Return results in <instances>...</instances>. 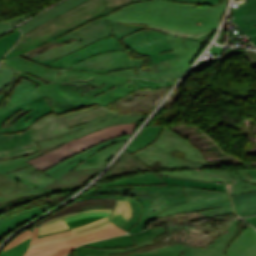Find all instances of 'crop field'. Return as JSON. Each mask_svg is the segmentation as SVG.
Returning <instances> with one entry per match:
<instances>
[{
	"label": "crop field",
	"mask_w": 256,
	"mask_h": 256,
	"mask_svg": "<svg viewBox=\"0 0 256 256\" xmlns=\"http://www.w3.org/2000/svg\"><path fill=\"white\" fill-rule=\"evenodd\" d=\"M111 224L108 223L102 227H99V228H96V229H93L91 231H88V232H83V233H78V234H74V235H70V236H66V237H63V238H59V239H55V240H51V241H47V242H43V243H39V244H35V245H31L29 248H32V247H38V246H42V245H47V244H51V243H55V242H59V241H63V240H67V239H71V238H74V237H77V236H81V235H84V234H87V233H90L92 231H95V230H98V229H101L107 225Z\"/></svg>",
	"instance_id": "42"
},
{
	"label": "crop field",
	"mask_w": 256,
	"mask_h": 256,
	"mask_svg": "<svg viewBox=\"0 0 256 256\" xmlns=\"http://www.w3.org/2000/svg\"><path fill=\"white\" fill-rule=\"evenodd\" d=\"M248 2L251 1V0H247Z\"/></svg>",
	"instance_id": "60"
},
{
	"label": "crop field",
	"mask_w": 256,
	"mask_h": 256,
	"mask_svg": "<svg viewBox=\"0 0 256 256\" xmlns=\"http://www.w3.org/2000/svg\"><path fill=\"white\" fill-rule=\"evenodd\" d=\"M108 222H110V221L107 219V220H105L103 222H100L98 224H95V225H92V226H89V227H86V228H83V229H79V230H75V231H69V232H65V233H61V234H57V235H53V236H49V237H44V238H40V239H37V233H38L39 227H35L34 231H33V234H32L31 244H35V243H39V242H43V241H47V240L63 237V236L74 234V233H78V232L88 231V230H91L93 228H96V227H99L101 225H104V224H106Z\"/></svg>",
	"instance_id": "35"
},
{
	"label": "crop field",
	"mask_w": 256,
	"mask_h": 256,
	"mask_svg": "<svg viewBox=\"0 0 256 256\" xmlns=\"http://www.w3.org/2000/svg\"><path fill=\"white\" fill-rule=\"evenodd\" d=\"M162 127L158 126H148L146 127L138 136L137 138L131 142L130 146L128 147V151L131 153L146 144L152 142L154 138L159 134Z\"/></svg>",
	"instance_id": "29"
},
{
	"label": "crop field",
	"mask_w": 256,
	"mask_h": 256,
	"mask_svg": "<svg viewBox=\"0 0 256 256\" xmlns=\"http://www.w3.org/2000/svg\"><path fill=\"white\" fill-rule=\"evenodd\" d=\"M184 188L189 203L170 207L155 218L191 211H197L210 217L235 214L227 193Z\"/></svg>",
	"instance_id": "11"
},
{
	"label": "crop field",
	"mask_w": 256,
	"mask_h": 256,
	"mask_svg": "<svg viewBox=\"0 0 256 256\" xmlns=\"http://www.w3.org/2000/svg\"><path fill=\"white\" fill-rule=\"evenodd\" d=\"M229 221H208L189 225L187 245L206 248L216 240L231 224Z\"/></svg>",
	"instance_id": "14"
},
{
	"label": "crop field",
	"mask_w": 256,
	"mask_h": 256,
	"mask_svg": "<svg viewBox=\"0 0 256 256\" xmlns=\"http://www.w3.org/2000/svg\"><path fill=\"white\" fill-rule=\"evenodd\" d=\"M101 215H109V213H87V214H82V215L74 216L71 218H67L64 220H65V222H68V221L80 219V218L87 217V216H101Z\"/></svg>",
	"instance_id": "48"
},
{
	"label": "crop field",
	"mask_w": 256,
	"mask_h": 256,
	"mask_svg": "<svg viewBox=\"0 0 256 256\" xmlns=\"http://www.w3.org/2000/svg\"><path fill=\"white\" fill-rule=\"evenodd\" d=\"M115 204H116V200H113V199H87V200L71 203L70 205L64 207L58 212L52 214L51 216L47 218L45 217L46 219L35 224V226H40V224L46 220H50L58 216L66 215L68 213H72V212H76L84 209H91V208H113Z\"/></svg>",
	"instance_id": "20"
},
{
	"label": "crop field",
	"mask_w": 256,
	"mask_h": 256,
	"mask_svg": "<svg viewBox=\"0 0 256 256\" xmlns=\"http://www.w3.org/2000/svg\"><path fill=\"white\" fill-rule=\"evenodd\" d=\"M148 169L147 166L132 156L128 151H125L103 179Z\"/></svg>",
	"instance_id": "22"
},
{
	"label": "crop field",
	"mask_w": 256,
	"mask_h": 256,
	"mask_svg": "<svg viewBox=\"0 0 256 256\" xmlns=\"http://www.w3.org/2000/svg\"><path fill=\"white\" fill-rule=\"evenodd\" d=\"M35 13H37V12H35ZM35 13H31V14H28V15H25V16H21V17L15 18V19H11V20H8V21H2V22L18 23V22L28 18L29 16L35 14Z\"/></svg>",
	"instance_id": "51"
},
{
	"label": "crop field",
	"mask_w": 256,
	"mask_h": 256,
	"mask_svg": "<svg viewBox=\"0 0 256 256\" xmlns=\"http://www.w3.org/2000/svg\"><path fill=\"white\" fill-rule=\"evenodd\" d=\"M162 179H164L168 184H175V185H181V186H187V187H195V188L227 192L223 183L216 184V183H205V182H190V181L170 179V178H162Z\"/></svg>",
	"instance_id": "32"
},
{
	"label": "crop field",
	"mask_w": 256,
	"mask_h": 256,
	"mask_svg": "<svg viewBox=\"0 0 256 256\" xmlns=\"http://www.w3.org/2000/svg\"><path fill=\"white\" fill-rule=\"evenodd\" d=\"M181 226L188 229V225H175V226H160L146 230L142 233L131 235L136 246L128 248H117V249H96L91 247H76L78 256H113L111 254L127 253L136 250L145 245L155 243L153 240L160 234L165 232L170 233L171 231L178 230L177 227ZM184 245H173L163 248L153 249L149 251L139 252L137 254L121 255V256H182L185 251Z\"/></svg>",
	"instance_id": "10"
},
{
	"label": "crop field",
	"mask_w": 256,
	"mask_h": 256,
	"mask_svg": "<svg viewBox=\"0 0 256 256\" xmlns=\"http://www.w3.org/2000/svg\"><path fill=\"white\" fill-rule=\"evenodd\" d=\"M68 228L69 227L67 226V224L64 222V220H62V221L41 227L38 235L52 233V232H56V231H60Z\"/></svg>",
	"instance_id": "40"
},
{
	"label": "crop field",
	"mask_w": 256,
	"mask_h": 256,
	"mask_svg": "<svg viewBox=\"0 0 256 256\" xmlns=\"http://www.w3.org/2000/svg\"><path fill=\"white\" fill-rule=\"evenodd\" d=\"M83 1H85V0H66V1L60 3L59 5L53 7L52 9L44 12L43 14L37 16L33 20L19 26V29H21L22 32L25 33L28 30L44 23L46 20L54 17L55 15L65 11L75 5L82 3Z\"/></svg>",
	"instance_id": "26"
},
{
	"label": "crop field",
	"mask_w": 256,
	"mask_h": 256,
	"mask_svg": "<svg viewBox=\"0 0 256 256\" xmlns=\"http://www.w3.org/2000/svg\"><path fill=\"white\" fill-rule=\"evenodd\" d=\"M1 65L38 84V91L56 115L87 105L106 106L139 87L129 78L64 69H50L20 56L3 60Z\"/></svg>",
	"instance_id": "2"
},
{
	"label": "crop field",
	"mask_w": 256,
	"mask_h": 256,
	"mask_svg": "<svg viewBox=\"0 0 256 256\" xmlns=\"http://www.w3.org/2000/svg\"><path fill=\"white\" fill-rule=\"evenodd\" d=\"M4 96V94H0V99Z\"/></svg>",
	"instance_id": "59"
},
{
	"label": "crop field",
	"mask_w": 256,
	"mask_h": 256,
	"mask_svg": "<svg viewBox=\"0 0 256 256\" xmlns=\"http://www.w3.org/2000/svg\"><path fill=\"white\" fill-rule=\"evenodd\" d=\"M86 198H134L138 200L142 204V217L132 229L127 231L129 233H136L144 230L149 219L155 217L168 207L188 202L184 188L175 185H143L95 188L81 194L77 199H75V201Z\"/></svg>",
	"instance_id": "6"
},
{
	"label": "crop field",
	"mask_w": 256,
	"mask_h": 256,
	"mask_svg": "<svg viewBox=\"0 0 256 256\" xmlns=\"http://www.w3.org/2000/svg\"><path fill=\"white\" fill-rule=\"evenodd\" d=\"M125 141L118 142L107 148L99 150L72 170L103 168L106 162L114 155L119 147L125 143Z\"/></svg>",
	"instance_id": "24"
},
{
	"label": "crop field",
	"mask_w": 256,
	"mask_h": 256,
	"mask_svg": "<svg viewBox=\"0 0 256 256\" xmlns=\"http://www.w3.org/2000/svg\"><path fill=\"white\" fill-rule=\"evenodd\" d=\"M29 239L23 241L22 243L0 253V256H22V254L25 252V250L28 247Z\"/></svg>",
	"instance_id": "38"
},
{
	"label": "crop field",
	"mask_w": 256,
	"mask_h": 256,
	"mask_svg": "<svg viewBox=\"0 0 256 256\" xmlns=\"http://www.w3.org/2000/svg\"><path fill=\"white\" fill-rule=\"evenodd\" d=\"M142 184H167L165 181H163L157 174H155L153 171H150L148 173L136 175L133 177L100 184L96 187H110V186H117V185H142Z\"/></svg>",
	"instance_id": "27"
},
{
	"label": "crop field",
	"mask_w": 256,
	"mask_h": 256,
	"mask_svg": "<svg viewBox=\"0 0 256 256\" xmlns=\"http://www.w3.org/2000/svg\"><path fill=\"white\" fill-rule=\"evenodd\" d=\"M149 29L138 25L109 23L98 20L90 23L58 40H53L21 56L48 66L53 61L64 57L100 39L115 35L117 40L133 32Z\"/></svg>",
	"instance_id": "7"
},
{
	"label": "crop field",
	"mask_w": 256,
	"mask_h": 256,
	"mask_svg": "<svg viewBox=\"0 0 256 256\" xmlns=\"http://www.w3.org/2000/svg\"><path fill=\"white\" fill-rule=\"evenodd\" d=\"M101 169L78 170L66 173L64 176L54 181L46 188L80 186L93 178ZM44 188V189H46Z\"/></svg>",
	"instance_id": "23"
},
{
	"label": "crop field",
	"mask_w": 256,
	"mask_h": 256,
	"mask_svg": "<svg viewBox=\"0 0 256 256\" xmlns=\"http://www.w3.org/2000/svg\"><path fill=\"white\" fill-rule=\"evenodd\" d=\"M103 109L102 107L97 108L93 111H97ZM93 111L65 117L58 119L55 114L47 115L41 119H39L36 123H34L27 131L31 135V137L34 139V141H41L50 139L56 136L64 135L66 133H69V129L65 126L62 120L84 115ZM65 121V120H64Z\"/></svg>",
	"instance_id": "16"
},
{
	"label": "crop field",
	"mask_w": 256,
	"mask_h": 256,
	"mask_svg": "<svg viewBox=\"0 0 256 256\" xmlns=\"http://www.w3.org/2000/svg\"><path fill=\"white\" fill-rule=\"evenodd\" d=\"M135 1H136V2H140V1H147V0H134V1H132V2H135ZM132 2L126 3V4H124V5L130 4V3H132ZM124 5H121V6H124ZM119 7H120V6H119ZM117 8H118V7H117ZM114 9H116V8H114ZM114 9H112V10H114ZM112 10H109V11H107V12L101 13V14H99V15H97V16L104 15V14H106V13L112 11ZM97 16H94V17H92V18H90V19H93V18H95V17H97ZM90 19H88V20H90ZM86 21H87V20H86ZM86 21H84V22H86ZM84 22H82V23H84ZM82 23H80V24H82ZM80 24H78V25H80ZM78 25H77V26H78ZM75 27H76V26H75ZM73 28H74V27H73ZM71 29H72V28H71ZM69 30H70V29H69ZM67 31H68V30H67ZM65 32H66V31H65ZM65 32H63V33H65ZM63 33H61V34H59V35H62ZM59 35H57V36H59ZM57 36H55V37H53V38H51V39H48V40H46V41H44V42H42V43H40V44H38V45H35V46H33V47H30V48H28V49H26V50H24V51H22V52H20V53H17V54H14V55H10L11 52L18 46V44H19V43L21 42V40L23 39V36H22V38H21L20 41L17 43V45H16L7 55H5L4 59H5V58H9V57H13V56H16V55H21V54H23V53H25V52H27V51H29V50H31V49L37 47V46L43 45V44H45V43H47V42H49V41L55 39Z\"/></svg>",
	"instance_id": "37"
},
{
	"label": "crop field",
	"mask_w": 256,
	"mask_h": 256,
	"mask_svg": "<svg viewBox=\"0 0 256 256\" xmlns=\"http://www.w3.org/2000/svg\"><path fill=\"white\" fill-rule=\"evenodd\" d=\"M107 218H108V217L103 218V219L98 220V221H95V222H92V223L87 224V225H84V226H80V227L72 228L71 230H75V229L83 228V227H86V226H89V225L95 224V223H97V222L103 221V220H105V219H107Z\"/></svg>",
	"instance_id": "56"
},
{
	"label": "crop field",
	"mask_w": 256,
	"mask_h": 256,
	"mask_svg": "<svg viewBox=\"0 0 256 256\" xmlns=\"http://www.w3.org/2000/svg\"><path fill=\"white\" fill-rule=\"evenodd\" d=\"M30 236H31V231H30V230H27V231H25V232H23V233L17 235L9 244H7V245L4 247V249H3L2 251H4V250H6V249H8V248H10V247H12V246H14V245H16L17 243H19V242L25 240L26 238H28V237H30Z\"/></svg>",
	"instance_id": "44"
},
{
	"label": "crop field",
	"mask_w": 256,
	"mask_h": 256,
	"mask_svg": "<svg viewBox=\"0 0 256 256\" xmlns=\"http://www.w3.org/2000/svg\"><path fill=\"white\" fill-rule=\"evenodd\" d=\"M228 51L231 52L230 56L244 52L250 67L251 68H256V52H254V51H242V50H229V49H228Z\"/></svg>",
	"instance_id": "41"
},
{
	"label": "crop field",
	"mask_w": 256,
	"mask_h": 256,
	"mask_svg": "<svg viewBox=\"0 0 256 256\" xmlns=\"http://www.w3.org/2000/svg\"><path fill=\"white\" fill-rule=\"evenodd\" d=\"M92 109H93V107H90V108H87V109H84V110H81V111H75V112H71V113L58 115L57 117L60 118V117H64V116H68V115H72V114H76V113H80V112H84V111H88V110H92Z\"/></svg>",
	"instance_id": "54"
},
{
	"label": "crop field",
	"mask_w": 256,
	"mask_h": 256,
	"mask_svg": "<svg viewBox=\"0 0 256 256\" xmlns=\"http://www.w3.org/2000/svg\"><path fill=\"white\" fill-rule=\"evenodd\" d=\"M170 1H178V2H201V3H210L214 5L221 6L224 0H170Z\"/></svg>",
	"instance_id": "47"
},
{
	"label": "crop field",
	"mask_w": 256,
	"mask_h": 256,
	"mask_svg": "<svg viewBox=\"0 0 256 256\" xmlns=\"http://www.w3.org/2000/svg\"><path fill=\"white\" fill-rule=\"evenodd\" d=\"M108 114H112V112H110L106 109H103V110L93 112V113H90V114H87V115H84V116H80V117L65 120L64 123L66 124V126L68 128H70V127H73V126H76V125H79V124H82V123H85V122L95 120V119L103 117V116H106Z\"/></svg>",
	"instance_id": "34"
},
{
	"label": "crop field",
	"mask_w": 256,
	"mask_h": 256,
	"mask_svg": "<svg viewBox=\"0 0 256 256\" xmlns=\"http://www.w3.org/2000/svg\"><path fill=\"white\" fill-rule=\"evenodd\" d=\"M237 221L233 220L231 226L208 248L186 247L184 256H225L224 248L237 232Z\"/></svg>",
	"instance_id": "18"
},
{
	"label": "crop field",
	"mask_w": 256,
	"mask_h": 256,
	"mask_svg": "<svg viewBox=\"0 0 256 256\" xmlns=\"http://www.w3.org/2000/svg\"><path fill=\"white\" fill-rule=\"evenodd\" d=\"M38 151L27 131L0 135V159L22 156Z\"/></svg>",
	"instance_id": "15"
},
{
	"label": "crop field",
	"mask_w": 256,
	"mask_h": 256,
	"mask_svg": "<svg viewBox=\"0 0 256 256\" xmlns=\"http://www.w3.org/2000/svg\"><path fill=\"white\" fill-rule=\"evenodd\" d=\"M219 59H221V58H218V59H213V60H203V61H200V63L198 64V66L193 70V71H195V70H197V69H199V68H201V67H203V66H205V65H207V64H209V63H211V62H213V61H215V60H219Z\"/></svg>",
	"instance_id": "52"
},
{
	"label": "crop field",
	"mask_w": 256,
	"mask_h": 256,
	"mask_svg": "<svg viewBox=\"0 0 256 256\" xmlns=\"http://www.w3.org/2000/svg\"><path fill=\"white\" fill-rule=\"evenodd\" d=\"M111 210L112 209H91V210L80 211V212H77V213L68 214L66 216L58 217V218H55L53 220L47 221V222L43 223L41 226H44V225H47V224H50V223L62 220L64 218H66V217H70V216H74V215H78V214H82V213H87V212H111Z\"/></svg>",
	"instance_id": "43"
},
{
	"label": "crop field",
	"mask_w": 256,
	"mask_h": 256,
	"mask_svg": "<svg viewBox=\"0 0 256 256\" xmlns=\"http://www.w3.org/2000/svg\"><path fill=\"white\" fill-rule=\"evenodd\" d=\"M129 1L131 0H87L74 9L58 15L24 34L25 38L12 54L44 41L96 14Z\"/></svg>",
	"instance_id": "8"
},
{
	"label": "crop field",
	"mask_w": 256,
	"mask_h": 256,
	"mask_svg": "<svg viewBox=\"0 0 256 256\" xmlns=\"http://www.w3.org/2000/svg\"><path fill=\"white\" fill-rule=\"evenodd\" d=\"M134 83H136L140 88L150 87V89L164 87L173 85L176 80L174 81H165V82H149L141 79H134L130 78Z\"/></svg>",
	"instance_id": "39"
},
{
	"label": "crop field",
	"mask_w": 256,
	"mask_h": 256,
	"mask_svg": "<svg viewBox=\"0 0 256 256\" xmlns=\"http://www.w3.org/2000/svg\"><path fill=\"white\" fill-rule=\"evenodd\" d=\"M124 232L112 224L104 229L68 241L28 249L23 256H65L79 244L125 234Z\"/></svg>",
	"instance_id": "12"
},
{
	"label": "crop field",
	"mask_w": 256,
	"mask_h": 256,
	"mask_svg": "<svg viewBox=\"0 0 256 256\" xmlns=\"http://www.w3.org/2000/svg\"><path fill=\"white\" fill-rule=\"evenodd\" d=\"M103 217H106V216H102V217H88V218H84V219L68 222L67 224L69 225L70 228H72V227H76V226H80V225H84V224L90 223L92 221L101 219Z\"/></svg>",
	"instance_id": "46"
},
{
	"label": "crop field",
	"mask_w": 256,
	"mask_h": 256,
	"mask_svg": "<svg viewBox=\"0 0 256 256\" xmlns=\"http://www.w3.org/2000/svg\"><path fill=\"white\" fill-rule=\"evenodd\" d=\"M230 21L235 22L243 32L256 25V0L232 11Z\"/></svg>",
	"instance_id": "25"
},
{
	"label": "crop field",
	"mask_w": 256,
	"mask_h": 256,
	"mask_svg": "<svg viewBox=\"0 0 256 256\" xmlns=\"http://www.w3.org/2000/svg\"><path fill=\"white\" fill-rule=\"evenodd\" d=\"M138 123L120 124L71 140L45 154L27 160L42 172L60 161L111 138L131 134ZM72 148V151H69Z\"/></svg>",
	"instance_id": "9"
},
{
	"label": "crop field",
	"mask_w": 256,
	"mask_h": 256,
	"mask_svg": "<svg viewBox=\"0 0 256 256\" xmlns=\"http://www.w3.org/2000/svg\"><path fill=\"white\" fill-rule=\"evenodd\" d=\"M144 115H109L95 121L70 128V134L37 142L38 152L22 157L0 160V204L41 194L40 189L54 181L25 160L40 155L68 140L119 123L140 122ZM20 190V192H17Z\"/></svg>",
	"instance_id": "3"
},
{
	"label": "crop field",
	"mask_w": 256,
	"mask_h": 256,
	"mask_svg": "<svg viewBox=\"0 0 256 256\" xmlns=\"http://www.w3.org/2000/svg\"><path fill=\"white\" fill-rule=\"evenodd\" d=\"M133 245L134 243L130 235H124V236H116L111 239L83 244L81 246H91V247H97V248H116V247H128Z\"/></svg>",
	"instance_id": "31"
},
{
	"label": "crop field",
	"mask_w": 256,
	"mask_h": 256,
	"mask_svg": "<svg viewBox=\"0 0 256 256\" xmlns=\"http://www.w3.org/2000/svg\"><path fill=\"white\" fill-rule=\"evenodd\" d=\"M129 136L130 135L120 137V138H116V139H112V140H108L106 142H103V143L95 146V147H92L88 150L80 152V153L64 160L63 162L55 165L54 167L50 168L49 170L45 171L44 173L57 180L59 177H61L63 174H65L66 172L71 170L73 167H75L76 165L81 163L83 160H85L91 154L95 153L97 150H99L101 148H104V147H107V146H109V145H111V144H113L117 141L128 139Z\"/></svg>",
	"instance_id": "17"
},
{
	"label": "crop field",
	"mask_w": 256,
	"mask_h": 256,
	"mask_svg": "<svg viewBox=\"0 0 256 256\" xmlns=\"http://www.w3.org/2000/svg\"><path fill=\"white\" fill-rule=\"evenodd\" d=\"M14 25H11V24H4V23H0V33L5 31L6 29L12 27Z\"/></svg>",
	"instance_id": "55"
},
{
	"label": "crop field",
	"mask_w": 256,
	"mask_h": 256,
	"mask_svg": "<svg viewBox=\"0 0 256 256\" xmlns=\"http://www.w3.org/2000/svg\"><path fill=\"white\" fill-rule=\"evenodd\" d=\"M228 256H256V230L248 226L227 249Z\"/></svg>",
	"instance_id": "19"
},
{
	"label": "crop field",
	"mask_w": 256,
	"mask_h": 256,
	"mask_svg": "<svg viewBox=\"0 0 256 256\" xmlns=\"http://www.w3.org/2000/svg\"><path fill=\"white\" fill-rule=\"evenodd\" d=\"M77 188H67V189H56V190H65V191H69V190H75ZM51 191H54V190H45V191H41L42 195L44 194H47ZM42 195H39V196H36V197H32V198H28V199H24V200H20V201H16V202H12V203H8V204H4V205H0V210L2 209H5L11 205H15V204H18V203H21V202H24V201H28V200H31V199H34V198H39L41 197Z\"/></svg>",
	"instance_id": "45"
},
{
	"label": "crop field",
	"mask_w": 256,
	"mask_h": 256,
	"mask_svg": "<svg viewBox=\"0 0 256 256\" xmlns=\"http://www.w3.org/2000/svg\"><path fill=\"white\" fill-rule=\"evenodd\" d=\"M123 41L135 51L150 55L152 64L177 57L164 33L142 30L124 37ZM143 63L144 59L131 61L126 52L117 51L93 56L77 63L72 69L108 73L125 68H139Z\"/></svg>",
	"instance_id": "5"
},
{
	"label": "crop field",
	"mask_w": 256,
	"mask_h": 256,
	"mask_svg": "<svg viewBox=\"0 0 256 256\" xmlns=\"http://www.w3.org/2000/svg\"><path fill=\"white\" fill-rule=\"evenodd\" d=\"M226 3L227 0L221 7L194 8V5L152 0L131 5L103 18L110 22L144 23L153 30L166 33L178 56L148 68L126 69L110 74L148 80L179 78L207 38L214 33L222 19Z\"/></svg>",
	"instance_id": "1"
},
{
	"label": "crop field",
	"mask_w": 256,
	"mask_h": 256,
	"mask_svg": "<svg viewBox=\"0 0 256 256\" xmlns=\"http://www.w3.org/2000/svg\"><path fill=\"white\" fill-rule=\"evenodd\" d=\"M20 30L14 33H10L2 38H0V60L6 52L18 41L20 37Z\"/></svg>",
	"instance_id": "36"
},
{
	"label": "crop field",
	"mask_w": 256,
	"mask_h": 256,
	"mask_svg": "<svg viewBox=\"0 0 256 256\" xmlns=\"http://www.w3.org/2000/svg\"><path fill=\"white\" fill-rule=\"evenodd\" d=\"M69 230H70V229H69ZM69 230H65V231H69ZM65 231H61V232H65ZM61 232H57V233H61ZM53 234H56V233H53ZM48 235H52V234L41 235V236H38V238H40V237H44V236H48Z\"/></svg>",
	"instance_id": "57"
},
{
	"label": "crop field",
	"mask_w": 256,
	"mask_h": 256,
	"mask_svg": "<svg viewBox=\"0 0 256 256\" xmlns=\"http://www.w3.org/2000/svg\"><path fill=\"white\" fill-rule=\"evenodd\" d=\"M199 218H206V216H203L197 212L167 216V217L157 219V221L153 222V224L150 225L149 227L153 225L166 224V223H173V224L189 223L190 220L199 219Z\"/></svg>",
	"instance_id": "33"
},
{
	"label": "crop field",
	"mask_w": 256,
	"mask_h": 256,
	"mask_svg": "<svg viewBox=\"0 0 256 256\" xmlns=\"http://www.w3.org/2000/svg\"><path fill=\"white\" fill-rule=\"evenodd\" d=\"M0 89L9 92V104L0 107V134L26 130L44 115L53 113L51 106L35 88L36 84L0 66Z\"/></svg>",
	"instance_id": "4"
},
{
	"label": "crop field",
	"mask_w": 256,
	"mask_h": 256,
	"mask_svg": "<svg viewBox=\"0 0 256 256\" xmlns=\"http://www.w3.org/2000/svg\"><path fill=\"white\" fill-rule=\"evenodd\" d=\"M234 217H235L234 215L226 216V218H234Z\"/></svg>",
	"instance_id": "58"
},
{
	"label": "crop field",
	"mask_w": 256,
	"mask_h": 256,
	"mask_svg": "<svg viewBox=\"0 0 256 256\" xmlns=\"http://www.w3.org/2000/svg\"><path fill=\"white\" fill-rule=\"evenodd\" d=\"M132 215L131 204L127 200H117V205L109 220L117 226H122L128 222Z\"/></svg>",
	"instance_id": "30"
},
{
	"label": "crop field",
	"mask_w": 256,
	"mask_h": 256,
	"mask_svg": "<svg viewBox=\"0 0 256 256\" xmlns=\"http://www.w3.org/2000/svg\"><path fill=\"white\" fill-rule=\"evenodd\" d=\"M235 211L241 216L256 214V192L231 196Z\"/></svg>",
	"instance_id": "28"
},
{
	"label": "crop field",
	"mask_w": 256,
	"mask_h": 256,
	"mask_svg": "<svg viewBox=\"0 0 256 256\" xmlns=\"http://www.w3.org/2000/svg\"><path fill=\"white\" fill-rule=\"evenodd\" d=\"M46 205L35 207L24 212L18 213L16 215H12L8 218L0 219V238L8 233L9 231L15 229L16 227L24 224L25 222L39 216L44 211L49 210Z\"/></svg>",
	"instance_id": "21"
},
{
	"label": "crop field",
	"mask_w": 256,
	"mask_h": 256,
	"mask_svg": "<svg viewBox=\"0 0 256 256\" xmlns=\"http://www.w3.org/2000/svg\"><path fill=\"white\" fill-rule=\"evenodd\" d=\"M245 35H252L253 37L249 38L251 42L255 45L256 47V26L252 27L248 31L244 32Z\"/></svg>",
	"instance_id": "49"
},
{
	"label": "crop field",
	"mask_w": 256,
	"mask_h": 256,
	"mask_svg": "<svg viewBox=\"0 0 256 256\" xmlns=\"http://www.w3.org/2000/svg\"><path fill=\"white\" fill-rule=\"evenodd\" d=\"M125 51L115 36L100 40L86 48L78 50L62 59L53 62L49 67L51 68H70L77 62L91 57L96 54L111 52V51Z\"/></svg>",
	"instance_id": "13"
},
{
	"label": "crop field",
	"mask_w": 256,
	"mask_h": 256,
	"mask_svg": "<svg viewBox=\"0 0 256 256\" xmlns=\"http://www.w3.org/2000/svg\"><path fill=\"white\" fill-rule=\"evenodd\" d=\"M242 219L245 220L246 222L250 223L251 225H253L256 228V216L245 217V218H242Z\"/></svg>",
	"instance_id": "53"
},
{
	"label": "crop field",
	"mask_w": 256,
	"mask_h": 256,
	"mask_svg": "<svg viewBox=\"0 0 256 256\" xmlns=\"http://www.w3.org/2000/svg\"><path fill=\"white\" fill-rule=\"evenodd\" d=\"M247 173L251 175L253 178L247 179L245 181L256 184V169H246Z\"/></svg>",
	"instance_id": "50"
}]
</instances>
